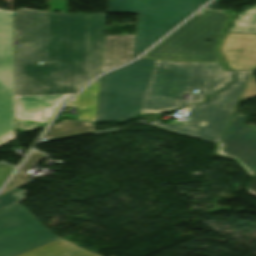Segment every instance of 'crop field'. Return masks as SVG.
<instances>
[{
	"label": "crop field",
	"mask_w": 256,
	"mask_h": 256,
	"mask_svg": "<svg viewBox=\"0 0 256 256\" xmlns=\"http://www.w3.org/2000/svg\"><path fill=\"white\" fill-rule=\"evenodd\" d=\"M247 190L249 193L256 195V175L248 184Z\"/></svg>",
	"instance_id": "crop-field-21"
},
{
	"label": "crop field",
	"mask_w": 256,
	"mask_h": 256,
	"mask_svg": "<svg viewBox=\"0 0 256 256\" xmlns=\"http://www.w3.org/2000/svg\"><path fill=\"white\" fill-rule=\"evenodd\" d=\"M134 39L135 35H105L102 72L132 59Z\"/></svg>",
	"instance_id": "crop-field-11"
},
{
	"label": "crop field",
	"mask_w": 256,
	"mask_h": 256,
	"mask_svg": "<svg viewBox=\"0 0 256 256\" xmlns=\"http://www.w3.org/2000/svg\"><path fill=\"white\" fill-rule=\"evenodd\" d=\"M247 115H233L215 156L234 160L249 176L256 174V129L241 126Z\"/></svg>",
	"instance_id": "crop-field-9"
},
{
	"label": "crop field",
	"mask_w": 256,
	"mask_h": 256,
	"mask_svg": "<svg viewBox=\"0 0 256 256\" xmlns=\"http://www.w3.org/2000/svg\"><path fill=\"white\" fill-rule=\"evenodd\" d=\"M45 157L44 154L33 150L21 168L14 174V176L9 180V182L4 186V188L0 191V195L8 192L12 189H15L21 185L28 183L27 172L35 165V163L41 158Z\"/></svg>",
	"instance_id": "crop-field-15"
},
{
	"label": "crop field",
	"mask_w": 256,
	"mask_h": 256,
	"mask_svg": "<svg viewBox=\"0 0 256 256\" xmlns=\"http://www.w3.org/2000/svg\"><path fill=\"white\" fill-rule=\"evenodd\" d=\"M232 80L230 71H224L219 62L194 63L156 60L139 114L174 110L187 104L183 94H190L192 103L203 101L204 94H213Z\"/></svg>",
	"instance_id": "crop-field-2"
},
{
	"label": "crop field",
	"mask_w": 256,
	"mask_h": 256,
	"mask_svg": "<svg viewBox=\"0 0 256 256\" xmlns=\"http://www.w3.org/2000/svg\"><path fill=\"white\" fill-rule=\"evenodd\" d=\"M154 61L139 59L100 77L96 121L123 122L137 116Z\"/></svg>",
	"instance_id": "crop-field-3"
},
{
	"label": "crop field",
	"mask_w": 256,
	"mask_h": 256,
	"mask_svg": "<svg viewBox=\"0 0 256 256\" xmlns=\"http://www.w3.org/2000/svg\"><path fill=\"white\" fill-rule=\"evenodd\" d=\"M94 125L92 123L64 120L49 127L42 139L47 141L60 137L90 133L93 132Z\"/></svg>",
	"instance_id": "crop-field-14"
},
{
	"label": "crop field",
	"mask_w": 256,
	"mask_h": 256,
	"mask_svg": "<svg viewBox=\"0 0 256 256\" xmlns=\"http://www.w3.org/2000/svg\"><path fill=\"white\" fill-rule=\"evenodd\" d=\"M221 50L232 70H252L239 101L256 96V35L228 33Z\"/></svg>",
	"instance_id": "crop-field-10"
},
{
	"label": "crop field",
	"mask_w": 256,
	"mask_h": 256,
	"mask_svg": "<svg viewBox=\"0 0 256 256\" xmlns=\"http://www.w3.org/2000/svg\"><path fill=\"white\" fill-rule=\"evenodd\" d=\"M227 18L203 9L142 57L218 61L213 48ZM207 39H211L209 43Z\"/></svg>",
	"instance_id": "crop-field-5"
},
{
	"label": "crop field",
	"mask_w": 256,
	"mask_h": 256,
	"mask_svg": "<svg viewBox=\"0 0 256 256\" xmlns=\"http://www.w3.org/2000/svg\"><path fill=\"white\" fill-rule=\"evenodd\" d=\"M44 124L45 123L15 119V128L21 131H31L32 129L40 127Z\"/></svg>",
	"instance_id": "crop-field-18"
},
{
	"label": "crop field",
	"mask_w": 256,
	"mask_h": 256,
	"mask_svg": "<svg viewBox=\"0 0 256 256\" xmlns=\"http://www.w3.org/2000/svg\"><path fill=\"white\" fill-rule=\"evenodd\" d=\"M236 15H237V14H235V13L232 12V11H230V13H229V18H228V20H227V22H226V24H225V26H224V28H223L222 31H226V29H227V27L229 26L230 22L232 21V19H233Z\"/></svg>",
	"instance_id": "crop-field-22"
},
{
	"label": "crop field",
	"mask_w": 256,
	"mask_h": 256,
	"mask_svg": "<svg viewBox=\"0 0 256 256\" xmlns=\"http://www.w3.org/2000/svg\"><path fill=\"white\" fill-rule=\"evenodd\" d=\"M139 117L149 119L150 122L155 120L154 115H139Z\"/></svg>",
	"instance_id": "crop-field-24"
},
{
	"label": "crop field",
	"mask_w": 256,
	"mask_h": 256,
	"mask_svg": "<svg viewBox=\"0 0 256 256\" xmlns=\"http://www.w3.org/2000/svg\"><path fill=\"white\" fill-rule=\"evenodd\" d=\"M13 170V167H10L6 164H0V186L9 177Z\"/></svg>",
	"instance_id": "crop-field-19"
},
{
	"label": "crop field",
	"mask_w": 256,
	"mask_h": 256,
	"mask_svg": "<svg viewBox=\"0 0 256 256\" xmlns=\"http://www.w3.org/2000/svg\"><path fill=\"white\" fill-rule=\"evenodd\" d=\"M57 239L18 203L0 211V256H16Z\"/></svg>",
	"instance_id": "crop-field-7"
},
{
	"label": "crop field",
	"mask_w": 256,
	"mask_h": 256,
	"mask_svg": "<svg viewBox=\"0 0 256 256\" xmlns=\"http://www.w3.org/2000/svg\"><path fill=\"white\" fill-rule=\"evenodd\" d=\"M98 85L99 78L66 104L80 107L77 120L95 122Z\"/></svg>",
	"instance_id": "crop-field-12"
},
{
	"label": "crop field",
	"mask_w": 256,
	"mask_h": 256,
	"mask_svg": "<svg viewBox=\"0 0 256 256\" xmlns=\"http://www.w3.org/2000/svg\"><path fill=\"white\" fill-rule=\"evenodd\" d=\"M104 20L105 14L13 12L15 118L48 122L100 73Z\"/></svg>",
	"instance_id": "crop-field-1"
},
{
	"label": "crop field",
	"mask_w": 256,
	"mask_h": 256,
	"mask_svg": "<svg viewBox=\"0 0 256 256\" xmlns=\"http://www.w3.org/2000/svg\"><path fill=\"white\" fill-rule=\"evenodd\" d=\"M224 37H225V34H224V32H222L220 37H219V39H218V42H217V44H216V46L214 48V51H215V53L217 55L218 60L220 61L221 65H222L223 69L224 70H228V68H227V66H226V64H225V62H224L220 52L218 51V49H219V47H220Z\"/></svg>",
	"instance_id": "crop-field-20"
},
{
	"label": "crop field",
	"mask_w": 256,
	"mask_h": 256,
	"mask_svg": "<svg viewBox=\"0 0 256 256\" xmlns=\"http://www.w3.org/2000/svg\"><path fill=\"white\" fill-rule=\"evenodd\" d=\"M14 137L12 12L0 10V144Z\"/></svg>",
	"instance_id": "crop-field-8"
},
{
	"label": "crop field",
	"mask_w": 256,
	"mask_h": 256,
	"mask_svg": "<svg viewBox=\"0 0 256 256\" xmlns=\"http://www.w3.org/2000/svg\"><path fill=\"white\" fill-rule=\"evenodd\" d=\"M18 256H100L59 239Z\"/></svg>",
	"instance_id": "crop-field-13"
},
{
	"label": "crop field",
	"mask_w": 256,
	"mask_h": 256,
	"mask_svg": "<svg viewBox=\"0 0 256 256\" xmlns=\"http://www.w3.org/2000/svg\"><path fill=\"white\" fill-rule=\"evenodd\" d=\"M250 72L234 71V82L227 88L207 103L191 105L187 123L164 124L157 120L151 125L219 143Z\"/></svg>",
	"instance_id": "crop-field-6"
},
{
	"label": "crop field",
	"mask_w": 256,
	"mask_h": 256,
	"mask_svg": "<svg viewBox=\"0 0 256 256\" xmlns=\"http://www.w3.org/2000/svg\"><path fill=\"white\" fill-rule=\"evenodd\" d=\"M206 1L108 0L107 13H138L134 58Z\"/></svg>",
	"instance_id": "crop-field-4"
},
{
	"label": "crop field",
	"mask_w": 256,
	"mask_h": 256,
	"mask_svg": "<svg viewBox=\"0 0 256 256\" xmlns=\"http://www.w3.org/2000/svg\"><path fill=\"white\" fill-rule=\"evenodd\" d=\"M232 25L233 28H230L228 31L256 33V5L241 12Z\"/></svg>",
	"instance_id": "crop-field-16"
},
{
	"label": "crop field",
	"mask_w": 256,
	"mask_h": 256,
	"mask_svg": "<svg viewBox=\"0 0 256 256\" xmlns=\"http://www.w3.org/2000/svg\"><path fill=\"white\" fill-rule=\"evenodd\" d=\"M23 195L19 191H11L5 195L0 196V210L10 206L16 202L22 201Z\"/></svg>",
	"instance_id": "crop-field-17"
},
{
	"label": "crop field",
	"mask_w": 256,
	"mask_h": 256,
	"mask_svg": "<svg viewBox=\"0 0 256 256\" xmlns=\"http://www.w3.org/2000/svg\"><path fill=\"white\" fill-rule=\"evenodd\" d=\"M218 2L219 0H214L212 1L210 4H208L207 6H205L206 8H209V9H214L216 10L217 9V6H218Z\"/></svg>",
	"instance_id": "crop-field-23"
}]
</instances>
